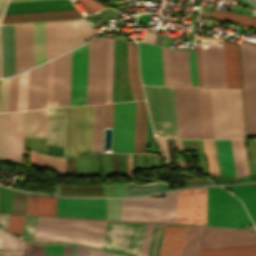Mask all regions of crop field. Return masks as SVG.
I'll return each instance as SVG.
<instances>
[{
	"label": "crop field",
	"instance_id": "crop-field-65",
	"mask_svg": "<svg viewBox=\"0 0 256 256\" xmlns=\"http://www.w3.org/2000/svg\"><path fill=\"white\" fill-rule=\"evenodd\" d=\"M199 86H203L200 44L196 45Z\"/></svg>",
	"mask_w": 256,
	"mask_h": 256
},
{
	"label": "crop field",
	"instance_id": "crop-field-54",
	"mask_svg": "<svg viewBox=\"0 0 256 256\" xmlns=\"http://www.w3.org/2000/svg\"><path fill=\"white\" fill-rule=\"evenodd\" d=\"M9 78L2 80L0 112L8 111Z\"/></svg>",
	"mask_w": 256,
	"mask_h": 256
},
{
	"label": "crop field",
	"instance_id": "crop-field-67",
	"mask_svg": "<svg viewBox=\"0 0 256 256\" xmlns=\"http://www.w3.org/2000/svg\"><path fill=\"white\" fill-rule=\"evenodd\" d=\"M77 256H88V248L77 245Z\"/></svg>",
	"mask_w": 256,
	"mask_h": 256
},
{
	"label": "crop field",
	"instance_id": "crop-field-13",
	"mask_svg": "<svg viewBox=\"0 0 256 256\" xmlns=\"http://www.w3.org/2000/svg\"><path fill=\"white\" fill-rule=\"evenodd\" d=\"M207 188L177 191L176 223L206 225Z\"/></svg>",
	"mask_w": 256,
	"mask_h": 256
},
{
	"label": "crop field",
	"instance_id": "crop-field-49",
	"mask_svg": "<svg viewBox=\"0 0 256 256\" xmlns=\"http://www.w3.org/2000/svg\"><path fill=\"white\" fill-rule=\"evenodd\" d=\"M164 85H172L169 49L161 47Z\"/></svg>",
	"mask_w": 256,
	"mask_h": 256
},
{
	"label": "crop field",
	"instance_id": "crop-field-2",
	"mask_svg": "<svg viewBox=\"0 0 256 256\" xmlns=\"http://www.w3.org/2000/svg\"><path fill=\"white\" fill-rule=\"evenodd\" d=\"M176 191L166 198L108 199L107 219L175 223Z\"/></svg>",
	"mask_w": 256,
	"mask_h": 256
},
{
	"label": "crop field",
	"instance_id": "crop-field-74",
	"mask_svg": "<svg viewBox=\"0 0 256 256\" xmlns=\"http://www.w3.org/2000/svg\"><path fill=\"white\" fill-rule=\"evenodd\" d=\"M7 0H0V19L4 10V7L6 5Z\"/></svg>",
	"mask_w": 256,
	"mask_h": 256
},
{
	"label": "crop field",
	"instance_id": "crop-field-23",
	"mask_svg": "<svg viewBox=\"0 0 256 256\" xmlns=\"http://www.w3.org/2000/svg\"><path fill=\"white\" fill-rule=\"evenodd\" d=\"M2 77L15 74L14 25H1Z\"/></svg>",
	"mask_w": 256,
	"mask_h": 256
},
{
	"label": "crop field",
	"instance_id": "crop-field-50",
	"mask_svg": "<svg viewBox=\"0 0 256 256\" xmlns=\"http://www.w3.org/2000/svg\"><path fill=\"white\" fill-rule=\"evenodd\" d=\"M72 107L66 108L64 156H70Z\"/></svg>",
	"mask_w": 256,
	"mask_h": 256
},
{
	"label": "crop field",
	"instance_id": "crop-field-9",
	"mask_svg": "<svg viewBox=\"0 0 256 256\" xmlns=\"http://www.w3.org/2000/svg\"><path fill=\"white\" fill-rule=\"evenodd\" d=\"M107 38L89 42L87 104L104 102Z\"/></svg>",
	"mask_w": 256,
	"mask_h": 256
},
{
	"label": "crop field",
	"instance_id": "crop-field-4",
	"mask_svg": "<svg viewBox=\"0 0 256 256\" xmlns=\"http://www.w3.org/2000/svg\"><path fill=\"white\" fill-rule=\"evenodd\" d=\"M195 256H256V235L201 228Z\"/></svg>",
	"mask_w": 256,
	"mask_h": 256
},
{
	"label": "crop field",
	"instance_id": "crop-field-30",
	"mask_svg": "<svg viewBox=\"0 0 256 256\" xmlns=\"http://www.w3.org/2000/svg\"><path fill=\"white\" fill-rule=\"evenodd\" d=\"M147 108L145 101L136 102L134 152L145 153Z\"/></svg>",
	"mask_w": 256,
	"mask_h": 256
},
{
	"label": "crop field",
	"instance_id": "crop-field-40",
	"mask_svg": "<svg viewBox=\"0 0 256 256\" xmlns=\"http://www.w3.org/2000/svg\"><path fill=\"white\" fill-rule=\"evenodd\" d=\"M39 168L52 170L58 174H65V158L47 156L40 153Z\"/></svg>",
	"mask_w": 256,
	"mask_h": 256
},
{
	"label": "crop field",
	"instance_id": "crop-field-29",
	"mask_svg": "<svg viewBox=\"0 0 256 256\" xmlns=\"http://www.w3.org/2000/svg\"><path fill=\"white\" fill-rule=\"evenodd\" d=\"M65 108L49 109L47 144L63 147Z\"/></svg>",
	"mask_w": 256,
	"mask_h": 256
},
{
	"label": "crop field",
	"instance_id": "crop-field-17",
	"mask_svg": "<svg viewBox=\"0 0 256 256\" xmlns=\"http://www.w3.org/2000/svg\"><path fill=\"white\" fill-rule=\"evenodd\" d=\"M139 55L143 84L163 85L160 47L139 42Z\"/></svg>",
	"mask_w": 256,
	"mask_h": 256
},
{
	"label": "crop field",
	"instance_id": "crop-field-25",
	"mask_svg": "<svg viewBox=\"0 0 256 256\" xmlns=\"http://www.w3.org/2000/svg\"><path fill=\"white\" fill-rule=\"evenodd\" d=\"M96 35L97 31L82 18L66 21L67 51Z\"/></svg>",
	"mask_w": 256,
	"mask_h": 256
},
{
	"label": "crop field",
	"instance_id": "crop-field-72",
	"mask_svg": "<svg viewBox=\"0 0 256 256\" xmlns=\"http://www.w3.org/2000/svg\"><path fill=\"white\" fill-rule=\"evenodd\" d=\"M154 39H155V34L147 31L145 41L148 43L154 44Z\"/></svg>",
	"mask_w": 256,
	"mask_h": 256
},
{
	"label": "crop field",
	"instance_id": "crop-field-64",
	"mask_svg": "<svg viewBox=\"0 0 256 256\" xmlns=\"http://www.w3.org/2000/svg\"><path fill=\"white\" fill-rule=\"evenodd\" d=\"M113 103L105 104L104 126L112 127Z\"/></svg>",
	"mask_w": 256,
	"mask_h": 256
},
{
	"label": "crop field",
	"instance_id": "crop-field-45",
	"mask_svg": "<svg viewBox=\"0 0 256 256\" xmlns=\"http://www.w3.org/2000/svg\"><path fill=\"white\" fill-rule=\"evenodd\" d=\"M200 228L188 227L182 256H194Z\"/></svg>",
	"mask_w": 256,
	"mask_h": 256
},
{
	"label": "crop field",
	"instance_id": "crop-field-10",
	"mask_svg": "<svg viewBox=\"0 0 256 256\" xmlns=\"http://www.w3.org/2000/svg\"><path fill=\"white\" fill-rule=\"evenodd\" d=\"M179 138H201L197 88L175 87Z\"/></svg>",
	"mask_w": 256,
	"mask_h": 256
},
{
	"label": "crop field",
	"instance_id": "crop-field-47",
	"mask_svg": "<svg viewBox=\"0 0 256 256\" xmlns=\"http://www.w3.org/2000/svg\"><path fill=\"white\" fill-rule=\"evenodd\" d=\"M169 164L178 167L175 156L174 139L156 136ZM179 168V167H178Z\"/></svg>",
	"mask_w": 256,
	"mask_h": 256
},
{
	"label": "crop field",
	"instance_id": "crop-field-36",
	"mask_svg": "<svg viewBox=\"0 0 256 256\" xmlns=\"http://www.w3.org/2000/svg\"><path fill=\"white\" fill-rule=\"evenodd\" d=\"M217 143L223 175L236 177L229 140H217Z\"/></svg>",
	"mask_w": 256,
	"mask_h": 256
},
{
	"label": "crop field",
	"instance_id": "crop-field-61",
	"mask_svg": "<svg viewBox=\"0 0 256 256\" xmlns=\"http://www.w3.org/2000/svg\"><path fill=\"white\" fill-rule=\"evenodd\" d=\"M154 225H148L141 256H147Z\"/></svg>",
	"mask_w": 256,
	"mask_h": 256
},
{
	"label": "crop field",
	"instance_id": "crop-field-3",
	"mask_svg": "<svg viewBox=\"0 0 256 256\" xmlns=\"http://www.w3.org/2000/svg\"><path fill=\"white\" fill-rule=\"evenodd\" d=\"M214 138L245 136L241 89L210 88Z\"/></svg>",
	"mask_w": 256,
	"mask_h": 256
},
{
	"label": "crop field",
	"instance_id": "crop-field-11",
	"mask_svg": "<svg viewBox=\"0 0 256 256\" xmlns=\"http://www.w3.org/2000/svg\"><path fill=\"white\" fill-rule=\"evenodd\" d=\"M204 86L226 87L222 39H201Z\"/></svg>",
	"mask_w": 256,
	"mask_h": 256
},
{
	"label": "crop field",
	"instance_id": "crop-field-78",
	"mask_svg": "<svg viewBox=\"0 0 256 256\" xmlns=\"http://www.w3.org/2000/svg\"><path fill=\"white\" fill-rule=\"evenodd\" d=\"M71 256H76V245L71 244Z\"/></svg>",
	"mask_w": 256,
	"mask_h": 256
},
{
	"label": "crop field",
	"instance_id": "crop-field-26",
	"mask_svg": "<svg viewBox=\"0 0 256 256\" xmlns=\"http://www.w3.org/2000/svg\"><path fill=\"white\" fill-rule=\"evenodd\" d=\"M23 111L10 113L8 160L21 163Z\"/></svg>",
	"mask_w": 256,
	"mask_h": 256
},
{
	"label": "crop field",
	"instance_id": "crop-field-20",
	"mask_svg": "<svg viewBox=\"0 0 256 256\" xmlns=\"http://www.w3.org/2000/svg\"><path fill=\"white\" fill-rule=\"evenodd\" d=\"M48 62L29 71L28 109L46 108Z\"/></svg>",
	"mask_w": 256,
	"mask_h": 256
},
{
	"label": "crop field",
	"instance_id": "crop-field-18",
	"mask_svg": "<svg viewBox=\"0 0 256 256\" xmlns=\"http://www.w3.org/2000/svg\"><path fill=\"white\" fill-rule=\"evenodd\" d=\"M71 51L55 59L53 107L69 106Z\"/></svg>",
	"mask_w": 256,
	"mask_h": 256
},
{
	"label": "crop field",
	"instance_id": "crop-field-33",
	"mask_svg": "<svg viewBox=\"0 0 256 256\" xmlns=\"http://www.w3.org/2000/svg\"><path fill=\"white\" fill-rule=\"evenodd\" d=\"M231 187L242 199L247 211L249 212L256 226V184L231 186Z\"/></svg>",
	"mask_w": 256,
	"mask_h": 256
},
{
	"label": "crop field",
	"instance_id": "crop-field-34",
	"mask_svg": "<svg viewBox=\"0 0 256 256\" xmlns=\"http://www.w3.org/2000/svg\"><path fill=\"white\" fill-rule=\"evenodd\" d=\"M129 79L132 93H143L138 75L136 44L127 42Z\"/></svg>",
	"mask_w": 256,
	"mask_h": 256
},
{
	"label": "crop field",
	"instance_id": "crop-field-14",
	"mask_svg": "<svg viewBox=\"0 0 256 256\" xmlns=\"http://www.w3.org/2000/svg\"><path fill=\"white\" fill-rule=\"evenodd\" d=\"M94 105L73 107L71 156L92 151Z\"/></svg>",
	"mask_w": 256,
	"mask_h": 256
},
{
	"label": "crop field",
	"instance_id": "crop-field-51",
	"mask_svg": "<svg viewBox=\"0 0 256 256\" xmlns=\"http://www.w3.org/2000/svg\"><path fill=\"white\" fill-rule=\"evenodd\" d=\"M164 226L155 225L148 256H158Z\"/></svg>",
	"mask_w": 256,
	"mask_h": 256
},
{
	"label": "crop field",
	"instance_id": "crop-field-76",
	"mask_svg": "<svg viewBox=\"0 0 256 256\" xmlns=\"http://www.w3.org/2000/svg\"><path fill=\"white\" fill-rule=\"evenodd\" d=\"M134 100H143L144 96L143 94H132Z\"/></svg>",
	"mask_w": 256,
	"mask_h": 256
},
{
	"label": "crop field",
	"instance_id": "crop-field-70",
	"mask_svg": "<svg viewBox=\"0 0 256 256\" xmlns=\"http://www.w3.org/2000/svg\"><path fill=\"white\" fill-rule=\"evenodd\" d=\"M119 196L126 195L125 183H117Z\"/></svg>",
	"mask_w": 256,
	"mask_h": 256
},
{
	"label": "crop field",
	"instance_id": "crop-field-53",
	"mask_svg": "<svg viewBox=\"0 0 256 256\" xmlns=\"http://www.w3.org/2000/svg\"><path fill=\"white\" fill-rule=\"evenodd\" d=\"M22 256H43V246L22 241Z\"/></svg>",
	"mask_w": 256,
	"mask_h": 256
},
{
	"label": "crop field",
	"instance_id": "crop-field-7",
	"mask_svg": "<svg viewBox=\"0 0 256 256\" xmlns=\"http://www.w3.org/2000/svg\"><path fill=\"white\" fill-rule=\"evenodd\" d=\"M247 136L256 135V45L240 43Z\"/></svg>",
	"mask_w": 256,
	"mask_h": 256
},
{
	"label": "crop field",
	"instance_id": "crop-field-56",
	"mask_svg": "<svg viewBox=\"0 0 256 256\" xmlns=\"http://www.w3.org/2000/svg\"><path fill=\"white\" fill-rule=\"evenodd\" d=\"M17 76L10 78L9 111L16 110Z\"/></svg>",
	"mask_w": 256,
	"mask_h": 256
},
{
	"label": "crop field",
	"instance_id": "crop-field-12",
	"mask_svg": "<svg viewBox=\"0 0 256 256\" xmlns=\"http://www.w3.org/2000/svg\"><path fill=\"white\" fill-rule=\"evenodd\" d=\"M135 102L114 103L112 152H133Z\"/></svg>",
	"mask_w": 256,
	"mask_h": 256
},
{
	"label": "crop field",
	"instance_id": "crop-field-57",
	"mask_svg": "<svg viewBox=\"0 0 256 256\" xmlns=\"http://www.w3.org/2000/svg\"><path fill=\"white\" fill-rule=\"evenodd\" d=\"M243 176L249 174L243 138L237 139Z\"/></svg>",
	"mask_w": 256,
	"mask_h": 256
},
{
	"label": "crop field",
	"instance_id": "crop-field-28",
	"mask_svg": "<svg viewBox=\"0 0 256 256\" xmlns=\"http://www.w3.org/2000/svg\"><path fill=\"white\" fill-rule=\"evenodd\" d=\"M48 109L25 111L24 137H47Z\"/></svg>",
	"mask_w": 256,
	"mask_h": 256
},
{
	"label": "crop field",
	"instance_id": "crop-field-71",
	"mask_svg": "<svg viewBox=\"0 0 256 256\" xmlns=\"http://www.w3.org/2000/svg\"><path fill=\"white\" fill-rule=\"evenodd\" d=\"M9 215H0V226L6 228Z\"/></svg>",
	"mask_w": 256,
	"mask_h": 256
},
{
	"label": "crop field",
	"instance_id": "crop-field-55",
	"mask_svg": "<svg viewBox=\"0 0 256 256\" xmlns=\"http://www.w3.org/2000/svg\"><path fill=\"white\" fill-rule=\"evenodd\" d=\"M37 219H38V217L27 216L24 234H23L24 237H27V238H30L33 240L35 228H36V224H37Z\"/></svg>",
	"mask_w": 256,
	"mask_h": 256
},
{
	"label": "crop field",
	"instance_id": "crop-field-69",
	"mask_svg": "<svg viewBox=\"0 0 256 256\" xmlns=\"http://www.w3.org/2000/svg\"><path fill=\"white\" fill-rule=\"evenodd\" d=\"M89 256H109V254L89 248Z\"/></svg>",
	"mask_w": 256,
	"mask_h": 256
},
{
	"label": "crop field",
	"instance_id": "crop-field-58",
	"mask_svg": "<svg viewBox=\"0 0 256 256\" xmlns=\"http://www.w3.org/2000/svg\"><path fill=\"white\" fill-rule=\"evenodd\" d=\"M230 142H231V148H232V153H233V158H234L236 175H237V177H241L242 173H241V167H240V161H239V154H238L236 139L230 140Z\"/></svg>",
	"mask_w": 256,
	"mask_h": 256
},
{
	"label": "crop field",
	"instance_id": "crop-field-44",
	"mask_svg": "<svg viewBox=\"0 0 256 256\" xmlns=\"http://www.w3.org/2000/svg\"><path fill=\"white\" fill-rule=\"evenodd\" d=\"M28 72L18 76L17 110L27 109Z\"/></svg>",
	"mask_w": 256,
	"mask_h": 256
},
{
	"label": "crop field",
	"instance_id": "crop-field-80",
	"mask_svg": "<svg viewBox=\"0 0 256 256\" xmlns=\"http://www.w3.org/2000/svg\"><path fill=\"white\" fill-rule=\"evenodd\" d=\"M0 256H1V252H0Z\"/></svg>",
	"mask_w": 256,
	"mask_h": 256
},
{
	"label": "crop field",
	"instance_id": "crop-field-6",
	"mask_svg": "<svg viewBox=\"0 0 256 256\" xmlns=\"http://www.w3.org/2000/svg\"><path fill=\"white\" fill-rule=\"evenodd\" d=\"M252 224L239 199L219 187L208 188L207 225Z\"/></svg>",
	"mask_w": 256,
	"mask_h": 256
},
{
	"label": "crop field",
	"instance_id": "crop-field-79",
	"mask_svg": "<svg viewBox=\"0 0 256 256\" xmlns=\"http://www.w3.org/2000/svg\"><path fill=\"white\" fill-rule=\"evenodd\" d=\"M26 1H38V0H10L9 3H14V2H26Z\"/></svg>",
	"mask_w": 256,
	"mask_h": 256
},
{
	"label": "crop field",
	"instance_id": "crop-field-16",
	"mask_svg": "<svg viewBox=\"0 0 256 256\" xmlns=\"http://www.w3.org/2000/svg\"><path fill=\"white\" fill-rule=\"evenodd\" d=\"M88 43L72 51L70 106L86 104Z\"/></svg>",
	"mask_w": 256,
	"mask_h": 256
},
{
	"label": "crop field",
	"instance_id": "crop-field-27",
	"mask_svg": "<svg viewBox=\"0 0 256 256\" xmlns=\"http://www.w3.org/2000/svg\"><path fill=\"white\" fill-rule=\"evenodd\" d=\"M173 85L191 86L188 51L171 50Z\"/></svg>",
	"mask_w": 256,
	"mask_h": 256
},
{
	"label": "crop field",
	"instance_id": "crop-field-8",
	"mask_svg": "<svg viewBox=\"0 0 256 256\" xmlns=\"http://www.w3.org/2000/svg\"><path fill=\"white\" fill-rule=\"evenodd\" d=\"M147 225L108 222L102 249L140 256Z\"/></svg>",
	"mask_w": 256,
	"mask_h": 256
},
{
	"label": "crop field",
	"instance_id": "crop-field-48",
	"mask_svg": "<svg viewBox=\"0 0 256 256\" xmlns=\"http://www.w3.org/2000/svg\"><path fill=\"white\" fill-rule=\"evenodd\" d=\"M1 229V228H0ZM2 250L20 251V238L1 229ZM1 250V241H0Z\"/></svg>",
	"mask_w": 256,
	"mask_h": 256
},
{
	"label": "crop field",
	"instance_id": "crop-field-77",
	"mask_svg": "<svg viewBox=\"0 0 256 256\" xmlns=\"http://www.w3.org/2000/svg\"><path fill=\"white\" fill-rule=\"evenodd\" d=\"M2 256H20V253L2 252Z\"/></svg>",
	"mask_w": 256,
	"mask_h": 256
},
{
	"label": "crop field",
	"instance_id": "crop-field-63",
	"mask_svg": "<svg viewBox=\"0 0 256 256\" xmlns=\"http://www.w3.org/2000/svg\"><path fill=\"white\" fill-rule=\"evenodd\" d=\"M44 256H63V246H44Z\"/></svg>",
	"mask_w": 256,
	"mask_h": 256
},
{
	"label": "crop field",
	"instance_id": "crop-field-21",
	"mask_svg": "<svg viewBox=\"0 0 256 256\" xmlns=\"http://www.w3.org/2000/svg\"><path fill=\"white\" fill-rule=\"evenodd\" d=\"M82 17L77 10L4 15L1 24L64 20Z\"/></svg>",
	"mask_w": 256,
	"mask_h": 256
},
{
	"label": "crop field",
	"instance_id": "crop-field-37",
	"mask_svg": "<svg viewBox=\"0 0 256 256\" xmlns=\"http://www.w3.org/2000/svg\"><path fill=\"white\" fill-rule=\"evenodd\" d=\"M170 184L162 182H154L148 184H138L126 183L127 195H141L150 194L156 192H162L168 190Z\"/></svg>",
	"mask_w": 256,
	"mask_h": 256
},
{
	"label": "crop field",
	"instance_id": "crop-field-52",
	"mask_svg": "<svg viewBox=\"0 0 256 256\" xmlns=\"http://www.w3.org/2000/svg\"><path fill=\"white\" fill-rule=\"evenodd\" d=\"M11 220L13 221L11 222ZM23 220L24 217L22 216L10 215L7 230L14 233L17 236H20Z\"/></svg>",
	"mask_w": 256,
	"mask_h": 256
},
{
	"label": "crop field",
	"instance_id": "crop-field-62",
	"mask_svg": "<svg viewBox=\"0 0 256 256\" xmlns=\"http://www.w3.org/2000/svg\"><path fill=\"white\" fill-rule=\"evenodd\" d=\"M202 142H203L204 152L207 155L209 172L210 174L215 175L209 140H202Z\"/></svg>",
	"mask_w": 256,
	"mask_h": 256
},
{
	"label": "crop field",
	"instance_id": "crop-field-66",
	"mask_svg": "<svg viewBox=\"0 0 256 256\" xmlns=\"http://www.w3.org/2000/svg\"><path fill=\"white\" fill-rule=\"evenodd\" d=\"M37 197L27 195V213L36 214Z\"/></svg>",
	"mask_w": 256,
	"mask_h": 256
},
{
	"label": "crop field",
	"instance_id": "crop-field-35",
	"mask_svg": "<svg viewBox=\"0 0 256 256\" xmlns=\"http://www.w3.org/2000/svg\"><path fill=\"white\" fill-rule=\"evenodd\" d=\"M34 66L45 61L44 22L33 23Z\"/></svg>",
	"mask_w": 256,
	"mask_h": 256
},
{
	"label": "crop field",
	"instance_id": "crop-field-1",
	"mask_svg": "<svg viewBox=\"0 0 256 256\" xmlns=\"http://www.w3.org/2000/svg\"><path fill=\"white\" fill-rule=\"evenodd\" d=\"M107 222L39 217L34 240L67 241L102 247Z\"/></svg>",
	"mask_w": 256,
	"mask_h": 256
},
{
	"label": "crop field",
	"instance_id": "crop-field-24",
	"mask_svg": "<svg viewBox=\"0 0 256 256\" xmlns=\"http://www.w3.org/2000/svg\"><path fill=\"white\" fill-rule=\"evenodd\" d=\"M186 229L165 226L159 256H181Z\"/></svg>",
	"mask_w": 256,
	"mask_h": 256
},
{
	"label": "crop field",
	"instance_id": "crop-field-5",
	"mask_svg": "<svg viewBox=\"0 0 256 256\" xmlns=\"http://www.w3.org/2000/svg\"><path fill=\"white\" fill-rule=\"evenodd\" d=\"M144 88L155 134L178 138L174 87Z\"/></svg>",
	"mask_w": 256,
	"mask_h": 256
},
{
	"label": "crop field",
	"instance_id": "crop-field-19",
	"mask_svg": "<svg viewBox=\"0 0 256 256\" xmlns=\"http://www.w3.org/2000/svg\"><path fill=\"white\" fill-rule=\"evenodd\" d=\"M16 74L33 66L32 23L15 25Z\"/></svg>",
	"mask_w": 256,
	"mask_h": 256
},
{
	"label": "crop field",
	"instance_id": "crop-field-42",
	"mask_svg": "<svg viewBox=\"0 0 256 256\" xmlns=\"http://www.w3.org/2000/svg\"><path fill=\"white\" fill-rule=\"evenodd\" d=\"M9 113L0 114V159L7 160Z\"/></svg>",
	"mask_w": 256,
	"mask_h": 256
},
{
	"label": "crop field",
	"instance_id": "crop-field-68",
	"mask_svg": "<svg viewBox=\"0 0 256 256\" xmlns=\"http://www.w3.org/2000/svg\"><path fill=\"white\" fill-rule=\"evenodd\" d=\"M210 142H211V148H212L215 172H216V175H219L218 166H217V160H216V154H215V148H214V142H213V140H210Z\"/></svg>",
	"mask_w": 256,
	"mask_h": 256
},
{
	"label": "crop field",
	"instance_id": "crop-field-60",
	"mask_svg": "<svg viewBox=\"0 0 256 256\" xmlns=\"http://www.w3.org/2000/svg\"><path fill=\"white\" fill-rule=\"evenodd\" d=\"M192 86H198L195 51H189Z\"/></svg>",
	"mask_w": 256,
	"mask_h": 256
},
{
	"label": "crop field",
	"instance_id": "crop-field-38",
	"mask_svg": "<svg viewBox=\"0 0 256 256\" xmlns=\"http://www.w3.org/2000/svg\"><path fill=\"white\" fill-rule=\"evenodd\" d=\"M104 104L95 105L93 151H102Z\"/></svg>",
	"mask_w": 256,
	"mask_h": 256
},
{
	"label": "crop field",
	"instance_id": "crop-field-59",
	"mask_svg": "<svg viewBox=\"0 0 256 256\" xmlns=\"http://www.w3.org/2000/svg\"><path fill=\"white\" fill-rule=\"evenodd\" d=\"M79 1L87 9L89 13H93L107 7L95 0H79Z\"/></svg>",
	"mask_w": 256,
	"mask_h": 256
},
{
	"label": "crop field",
	"instance_id": "crop-field-46",
	"mask_svg": "<svg viewBox=\"0 0 256 256\" xmlns=\"http://www.w3.org/2000/svg\"><path fill=\"white\" fill-rule=\"evenodd\" d=\"M113 40L108 39L105 102H111Z\"/></svg>",
	"mask_w": 256,
	"mask_h": 256
},
{
	"label": "crop field",
	"instance_id": "crop-field-31",
	"mask_svg": "<svg viewBox=\"0 0 256 256\" xmlns=\"http://www.w3.org/2000/svg\"><path fill=\"white\" fill-rule=\"evenodd\" d=\"M202 138H213L209 88H198Z\"/></svg>",
	"mask_w": 256,
	"mask_h": 256
},
{
	"label": "crop field",
	"instance_id": "crop-field-39",
	"mask_svg": "<svg viewBox=\"0 0 256 256\" xmlns=\"http://www.w3.org/2000/svg\"><path fill=\"white\" fill-rule=\"evenodd\" d=\"M211 18H216L220 20L250 25V26H256V18L241 15L238 13H229V12H222V11H212Z\"/></svg>",
	"mask_w": 256,
	"mask_h": 256
},
{
	"label": "crop field",
	"instance_id": "crop-field-32",
	"mask_svg": "<svg viewBox=\"0 0 256 256\" xmlns=\"http://www.w3.org/2000/svg\"><path fill=\"white\" fill-rule=\"evenodd\" d=\"M123 41L114 40L112 102L120 101Z\"/></svg>",
	"mask_w": 256,
	"mask_h": 256
},
{
	"label": "crop field",
	"instance_id": "crop-field-75",
	"mask_svg": "<svg viewBox=\"0 0 256 256\" xmlns=\"http://www.w3.org/2000/svg\"><path fill=\"white\" fill-rule=\"evenodd\" d=\"M64 256H70V246L64 245Z\"/></svg>",
	"mask_w": 256,
	"mask_h": 256
},
{
	"label": "crop field",
	"instance_id": "crop-field-73",
	"mask_svg": "<svg viewBox=\"0 0 256 256\" xmlns=\"http://www.w3.org/2000/svg\"><path fill=\"white\" fill-rule=\"evenodd\" d=\"M106 158H107V173H108V177H109V176H111L109 153H106Z\"/></svg>",
	"mask_w": 256,
	"mask_h": 256
},
{
	"label": "crop field",
	"instance_id": "crop-field-15",
	"mask_svg": "<svg viewBox=\"0 0 256 256\" xmlns=\"http://www.w3.org/2000/svg\"><path fill=\"white\" fill-rule=\"evenodd\" d=\"M107 199L57 198V215L106 219Z\"/></svg>",
	"mask_w": 256,
	"mask_h": 256
},
{
	"label": "crop field",
	"instance_id": "crop-field-22",
	"mask_svg": "<svg viewBox=\"0 0 256 256\" xmlns=\"http://www.w3.org/2000/svg\"><path fill=\"white\" fill-rule=\"evenodd\" d=\"M75 9L69 0L8 4L4 14Z\"/></svg>",
	"mask_w": 256,
	"mask_h": 256
},
{
	"label": "crop field",
	"instance_id": "crop-field-41",
	"mask_svg": "<svg viewBox=\"0 0 256 256\" xmlns=\"http://www.w3.org/2000/svg\"><path fill=\"white\" fill-rule=\"evenodd\" d=\"M62 195L102 196L101 185L95 187H76L61 185Z\"/></svg>",
	"mask_w": 256,
	"mask_h": 256
},
{
	"label": "crop field",
	"instance_id": "crop-field-43",
	"mask_svg": "<svg viewBox=\"0 0 256 256\" xmlns=\"http://www.w3.org/2000/svg\"><path fill=\"white\" fill-rule=\"evenodd\" d=\"M46 60L56 56L55 22H45Z\"/></svg>",
	"mask_w": 256,
	"mask_h": 256
}]
</instances>
